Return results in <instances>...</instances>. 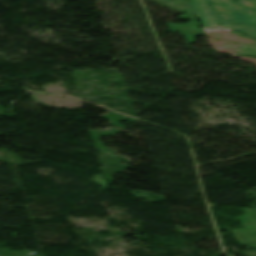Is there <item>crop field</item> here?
<instances>
[{
    "mask_svg": "<svg viewBox=\"0 0 256 256\" xmlns=\"http://www.w3.org/2000/svg\"><path fill=\"white\" fill-rule=\"evenodd\" d=\"M204 30L247 29L256 38V12L230 0H191ZM220 23L221 25H218Z\"/></svg>",
    "mask_w": 256,
    "mask_h": 256,
    "instance_id": "crop-field-1",
    "label": "crop field"
},
{
    "mask_svg": "<svg viewBox=\"0 0 256 256\" xmlns=\"http://www.w3.org/2000/svg\"><path fill=\"white\" fill-rule=\"evenodd\" d=\"M245 215L235 216L241 219L243 229H231L235 239L247 248L256 247V226L250 208H244Z\"/></svg>",
    "mask_w": 256,
    "mask_h": 256,
    "instance_id": "crop-field-2",
    "label": "crop field"
},
{
    "mask_svg": "<svg viewBox=\"0 0 256 256\" xmlns=\"http://www.w3.org/2000/svg\"><path fill=\"white\" fill-rule=\"evenodd\" d=\"M187 13L183 15H178L177 18L184 19L189 18L191 21L189 23L184 24H171L168 23L166 26L170 27L171 29H168L169 31H181V34L184 35L187 43H194L195 36L203 34L202 30L199 29L197 26L199 25L198 22L195 21L194 16L191 12V10H185Z\"/></svg>",
    "mask_w": 256,
    "mask_h": 256,
    "instance_id": "crop-field-3",
    "label": "crop field"
},
{
    "mask_svg": "<svg viewBox=\"0 0 256 256\" xmlns=\"http://www.w3.org/2000/svg\"><path fill=\"white\" fill-rule=\"evenodd\" d=\"M238 53L247 54V55H255L256 56V45H248L243 44L242 48H237Z\"/></svg>",
    "mask_w": 256,
    "mask_h": 256,
    "instance_id": "crop-field-4",
    "label": "crop field"
},
{
    "mask_svg": "<svg viewBox=\"0 0 256 256\" xmlns=\"http://www.w3.org/2000/svg\"><path fill=\"white\" fill-rule=\"evenodd\" d=\"M240 4H242L248 8L256 10V1H242V2H240Z\"/></svg>",
    "mask_w": 256,
    "mask_h": 256,
    "instance_id": "crop-field-5",
    "label": "crop field"
},
{
    "mask_svg": "<svg viewBox=\"0 0 256 256\" xmlns=\"http://www.w3.org/2000/svg\"><path fill=\"white\" fill-rule=\"evenodd\" d=\"M251 210H252L254 220H255V223H256V208H252Z\"/></svg>",
    "mask_w": 256,
    "mask_h": 256,
    "instance_id": "crop-field-6",
    "label": "crop field"
}]
</instances>
